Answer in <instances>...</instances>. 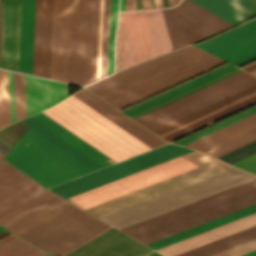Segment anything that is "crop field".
Here are the masks:
<instances>
[{
	"label": "crop field",
	"mask_w": 256,
	"mask_h": 256,
	"mask_svg": "<svg viewBox=\"0 0 256 256\" xmlns=\"http://www.w3.org/2000/svg\"><path fill=\"white\" fill-rule=\"evenodd\" d=\"M73 95L149 147L166 143L87 90L83 89ZM73 95L43 112L106 153L115 162L149 149L141 141ZM43 112L25 118L23 121L93 170L114 163L106 154L65 129ZM32 128L23 137L80 175L92 171Z\"/></svg>",
	"instance_id": "1"
},
{
	"label": "crop field",
	"mask_w": 256,
	"mask_h": 256,
	"mask_svg": "<svg viewBox=\"0 0 256 256\" xmlns=\"http://www.w3.org/2000/svg\"><path fill=\"white\" fill-rule=\"evenodd\" d=\"M182 156L200 164L201 166L179 156L67 199L86 209L88 207L94 206L96 204L102 203L117 196L199 166L197 168L191 169L189 171L183 172L168 179L86 209L92 214L100 217L151 198L152 196L155 197L157 195L163 194L175 188L181 187L193 181L232 167L206 154L196 151Z\"/></svg>",
	"instance_id": "2"
},
{
	"label": "crop field",
	"mask_w": 256,
	"mask_h": 256,
	"mask_svg": "<svg viewBox=\"0 0 256 256\" xmlns=\"http://www.w3.org/2000/svg\"><path fill=\"white\" fill-rule=\"evenodd\" d=\"M108 226L71 204L19 236L59 256ZM122 234L110 226L61 256H140L151 251Z\"/></svg>",
	"instance_id": "3"
},
{
	"label": "crop field",
	"mask_w": 256,
	"mask_h": 256,
	"mask_svg": "<svg viewBox=\"0 0 256 256\" xmlns=\"http://www.w3.org/2000/svg\"><path fill=\"white\" fill-rule=\"evenodd\" d=\"M256 203V179L121 229L147 244Z\"/></svg>",
	"instance_id": "4"
},
{
	"label": "crop field",
	"mask_w": 256,
	"mask_h": 256,
	"mask_svg": "<svg viewBox=\"0 0 256 256\" xmlns=\"http://www.w3.org/2000/svg\"><path fill=\"white\" fill-rule=\"evenodd\" d=\"M69 204L5 160L0 161V225L3 227L17 234Z\"/></svg>",
	"instance_id": "5"
},
{
	"label": "crop field",
	"mask_w": 256,
	"mask_h": 256,
	"mask_svg": "<svg viewBox=\"0 0 256 256\" xmlns=\"http://www.w3.org/2000/svg\"><path fill=\"white\" fill-rule=\"evenodd\" d=\"M253 178L256 175L232 167L100 218L121 229Z\"/></svg>",
	"instance_id": "6"
},
{
	"label": "crop field",
	"mask_w": 256,
	"mask_h": 256,
	"mask_svg": "<svg viewBox=\"0 0 256 256\" xmlns=\"http://www.w3.org/2000/svg\"><path fill=\"white\" fill-rule=\"evenodd\" d=\"M171 50L160 9L119 13L116 72Z\"/></svg>",
	"instance_id": "7"
},
{
	"label": "crop field",
	"mask_w": 256,
	"mask_h": 256,
	"mask_svg": "<svg viewBox=\"0 0 256 256\" xmlns=\"http://www.w3.org/2000/svg\"><path fill=\"white\" fill-rule=\"evenodd\" d=\"M100 0H72L68 82L96 80Z\"/></svg>",
	"instance_id": "8"
},
{
	"label": "crop field",
	"mask_w": 256,
	"mask_h": 256,
	"mask_svg": "<svg viewBox=\"0 0 256 256\" xmlns=\"http://www.w3.org/2000/svg\"><path fill=\"white\" fill-rule=\"evenodd\" d=\"M223 63L201 51L100 97L120 110Z\"/></svg>",
	"instance_id": "9"
},
{
	"label": "crop field",
	"mask_w": 256,
	"mask_h": 256,
	"mask_svg": "<svg viewBox=\"0 0 256 256\" xmlns=\"http://www.w3.org/2000/svg\"><path fill=\"white\" fill-rule=\"evenodd\" d=\"M255 83L256 77L241 71L134 120L151 131Z\"/></svg>",
	"instance_id": "10"
},
{
	"label": "crop field",
	"mask_w": 256,
	"mask_h": 256,
	"mask_svg": "<svg viewBox=\"0 0 256 256\" xmlns=\"http://www.w3.org/2000/svg\"><path fill=\"white\" fill-rule=\"evenodd\" d=\"M193 150L167 144L127 160L51 187L50 190L67 198L176 156Z\"/></svg>",
	"instance_id": "11"
},
{
	"label": "crop field",
	"mask_w": 256,
	"mask_h": 256,
	"mask_svg": "<svg viewBox=\"0 0 256 256\" xmlns=\"http://www.w3.org/2000/svg\"><path fill=\"white\" fill-rule=\"evenodd\" d=\"M161 10L173 50L233 26L189 0Z\"/></svg>",
	"instance_id": "12"
},
{
	"label": "crop field",
	"mask_w": 256,
	"mask_h": 256,
	"mask_svg": "<svg viewBox=\"0 0 256 256\" xmlns=\"http://www.w3.org/2000/svg\"><path fill=\"white\" fill-rule=\"evenodd\" d=\"M227 102H230L229 104ZM256 102V84L152 132L170 141Z\"/></svg>",
	"instance_id": "13"
},
{
	"label": "crop field",
	"mask_w": 256,
	"mask_h": 256,
	"mask_svg": "<svg viewBox=\"0 0 256 256\" xmlns=\"http://www.w3.org/2000/svg\"><path fill=\"white\" fill-rule=\"evenodd\" d=\"M4 159L46 187L79 176L23 137Z\"/></svg>",
	"instance_id": "14"
},
{
	"label": "crop field",
	"mask_w": 256,
	"mask_h": 256,
	"mask_svg": "<svg viewBox=\"0 0 256 256\" xmlns=\"http://www.w3.org/2000/svg\"><path fill=\"white\" fill-rule=\"evenodd\" d=\"M195 45L224 60L252 49L256 47V17ZM255 58L256 48L227 61L239 66Z\"/></svg>",
	"instance_id": "15"
},
{
	"label": "crop field",
	"mask_w": 256,
	"mask_h": 256,
	"mask_svg": "<svg viewBox=\"0 0 256 256\" xmlns=\"http://www.w3.org/2000/svg\"><path fill=\"white\" fill-rule=\"evenodd\" d=\"M70 1L53 0L50 77L67 82Z\"/></svg>",
	"instance_id": "16"
},
{
	"label": "crop field",
	"mask_w": 256,
	"mask_h": 256,
	"mask_svg": "<svg viewBox=\"0 0 256 256\" xmlns=\"http://www.w3.org/2000/svg\"><path fill=\"white\" fill-rule=\"evenodd\" d=\"M52 0H36L32 75L49 78Z\"/></svg>",
	"instance_id": "17"
},
{
	"label": "crop field",
	"mask_w": 256,
	"mask_h": 256,
	"mask_svg": "<svg viewBox=\"0 0 256 256\" xmlns=\"http://www.w3.org/2000/svg\"><path fill=\"white\" fill-rule=\"evenodd\" d=\"M184 48H186V47H184ZM184 48H181V49H184ZM181 49H179V50H181ZM179 50L167 53L165 55L159 56L157 58L151 59V60L146 61L144 63H141V64H138V65L133 66L131 68H128L126 70H123V71H120L118 73H115V74H113V75H111V76H109V77H107V78H105L103 80L97 81V82H95V83H93V84H91V85H89V86H87L85 88L91 90V89H93V88H95L97 86H100V85H102V84H104L106 82H109V81H111L113 79H116V78H118V77H120L122 75H125V74H127V73H129L131 71H134V70H136V69H138L140 67H143V66H145L147 64H150V63H152V62H154L156 60H159V59H161V58H163L165 56H168V55H170V54H172L174 52H177ZM199 51H201V50H199V49H197V48H195L193 46H190V47H188V48H186L184 50H181V51H179V52H177L175 54H172V55H170L168 57H165V58H163V59H161L159 61H156V62H154V63H152L150 65H147V66H145V67H143L141 69H138V70H136L134 72H131V73H129V74L125 75V76H122V77H120V78H118L116 80H113V81H111V82H109L107 84H104V85H102L100 87H97V88H95V89H93L91 91H93L98 96H100V95H102V94H104L106 92H109V91H111V90H113L115 88H118V87H120V86H122L124 84H127V83H129L131 81H134V80H136V79H138L140 77H143V76H145V75H147L149 73H152V72H154V71H156L158 69H161V68H163V67H165L167 65H170V64H172V63H174L176 61H179V60H181L183 58H186V57H188V56H190L192 54H195V53H197Z\"/></svg>",
	"instance_id": "18"
},
{
	"label": "crop field",
	"mask_w": 256,
	"mask_h": 256,
	"mask_svg": "<svg viewBox=\"0 0 256 256\" xmlns=\"http://www.w3.org/2000/svg\"><path fill=\"white\" fill-rule=\"evenodd\" d=\"M27 116L68 96L67 84L24 75Z\"/></svg>",
	"instance_id": "19"
},
{
	"label": "crop field",
	"mask_w": 256,
	"mask_h": 256,
	"mask_svg": "<svg viewBox=\"0 0 256 256\" xmlns=\"http://www.w3.org/2000/svg\"><path fill=\"white\" fill-rule=\"evenodd\" d=\"M20 0H4L1 68L17 72Z\"/></svg>",
	"instance_id": "20"
},
{
	"label": "crop field",
	"mask_w": 256,
	"mask_h": 256,
	"mask_svg": "<svg viewBox=\"0 0 256 256\" xmlns=\"http://www.w3.org/2000/svg\"><path fill=\"white\" fill-rule=\"evenodd\" d=\"M254 225H256V213L232 221L217 228L211 229L209 231L203 232L201 234L195 235L172 245L166 246L164 248L158 249L156 251L166 256H173L175 254L181 253L183 251L200 246L202 244L208 243L210 241L216 240L218 238L227 236L229 234L235 233L237 231Z\"/></svg>",
	"instance_id": "21"
},
{
	"label": "crop field",
	"mask_w": 256,
	"mask_h": 256,
	"mask_svg": "<svg viewBox=\"0 0 256 256\" xmlns=\"http://www.w3.org/2000/svg\"><path fill=\"white\" fill-rule=\"evenodd\" d=\"M235 25L256 14V0H192Z\"/></svg>",
	"instance_id": "22"
},
{
	"label": "crop field",
	"mask_w": 256,
	"mask_h": 256,
	"mask_svg": "<svg viewBox=\"0 0 256 256\" xmlns=\"http://www.w3.org/2000/svg\"><path fill=\"white\" fill-rule=\"evenodd\" d=\"M35 0H22L18 72L31 75Z\"/></svg>",
	"instance_id": "23"
},
{
	"label": "crop field",
	"mask_w": 256,
	"mask_h": 256,
	"mask_svg": "<svg viewBox=\"0 0 256 256\" xmlns=\"http://www.w3.org/2000/svg\"><path fill=\"white\" fill-rule=\"evenodd\" d=\"M254 212H256V204L235 211L233 213L227 214L225 216L219 217L217 219L208 221L206 223L200 224L198 226L192 227L190 229L184 230L182 232L176 233L174 235L168 236L166 238L160 239L158 241L152 242L147 245L152 249L156 250L158 248L164 247L166 245L172 244L174 242L180 241L182 239L188 238L195 234L201 233L203 231L209 230L211 228L217 227L219 225H222L224 223L230 222L232 220L238 219L240 217L246 216Z\"/></svg>",
	"instance_id": "24"
},
{
	"label": "crop field",
	"mask_w": 256,
	"mask_h": 256,
	"mask_svg": "<svg viewBox=\"0 0 256 256\" xmlns=\"http://www.w3.org/2000/svg\"><path fill=\"white\" fill-rule=\"evenodd\" d=\"M256 237V226L218 239L175 256H208Z\"/></svg>",
	"instance_id": "25"
},
{
	"label": "crop field",
	"mask_w": 256,
	"mask_h": 256,
	"mask_svg": "<svg viewBox=\"0 0 256 256\" xmlns=\"http://www.w3.org/2000/svg\"><path fill=\"white\" fill-rule=\"evenodd\" d=\"M232 67H234V66H232V65H230L228 63L224 64V65H222V66H220L218 68H215V69H213V70H211V71H209V72H207L205 74H202V75H200V76H198V77H196L194 79H191V80H189V81H187V82H185V83H183L181 85H178V86H176V87H174V88H172L170 90H167V91H165V92H163V93H161V94H159L157 96H154V97H152V98H150V99H148L146 101H143V102H141V103H139V104H137V105H135L133 107H130V108H128V109H126V110H124L122 112L124 114L128 115V114H130V113H132L134 111H137V110H139V109H141V108H143L145 106H148V105H150V104H152L154 102H157V101H159V100H161V99H163L165 97H168V96H170V95H172L174 93H177V92H179V91H181V90H183L185 88H188V87H190V86H192L194 84H197V83H199V82H201V81H203L205 79H208V78H210V77H212L214 75H217V74H219V73H221V72H223L225 70H228V69H230Z\"/></svg>",
	"instance_id": "26"
},
{
	"label": "crop field",
	"mask_w": 256,
	"mask_h": 256,
	"mask_svg": "<svg viewBox=\"0 0 256 256\" xmlns=\"http://www.w3.org/2000/svg\"><path fill=\"white\" fill-rule=\"evenodd\" d=\"M40 249L11 234L0 240V256H42Z\"/></svg>",
	"instance_id": "27"
},
{
	"label": "crop field",
	"mask_w": 256,
	"mask_h": 256,
	"mask_svg": "<svg viewBox=\"0 0 256 256\" xmlns=\"http://www.w3.org/2000/svg\"><path fill=\"white\" fill-rule=\"evenodd\" d=\"M239 71H241V70L236 68V67H234V68H232V69H230L228 71H225V72H223V73H221V74H219L217 76H214V77H212V78H210L208 80H205V81H203V82H201V83H199L197 85H194V86H192V87H190L188 89H185V90H183V91H181V92H179L177 94H174V95H172V96H170L168 98H165V99H163V100H161V101H159L157 103H154V104H152V105H150L148 107H145V108H143V109H141V110H139L137 112H134V113H132V114H130L128 116L130 118L134 119V118H136V117H138L140 115H143V114H145V113H147L149 111H152V110H154V109H156L158 107H161V106H163V105H165L167 103H170V102H172V101H174L176 99H179V98H181V97H183V96H185L187 94H190V93H192V92H194L196 90H199V89H201V88H203L205 86H208V85H210V84H212L214 82H217V81H219V80H221L223 78H226V77H228V76H230L232 74H235V73H237Z\"/></svg>",
	"instance_id": "28"
},
{
	"label": "crop field",
	"mask_w": 256,
	"mask_h": 256,
	"mask_svg": "<svg viewBox=\"0 0 256 256\" xmlns=\"http://www.w3.org/2000/svg\"><path fill=\"white\" fill-rule=\"evenodd\" d=\"M254 139H256V128L249 130L241 135H238L232 139H229L223 143H220L212 148H209L204 152H208L214 157H216L222 153H225L233 148H236Z\"/></svg>",
	"instance_id": "29"
},
{
	"label": "crop field",
	"mask_w": 256,
	"mask_h": 256,
	"mask_svg": "<svg viewBox=\"0 0 256 256\" xmlns=\"http://www.w3.org/2000/svg\"><path fill=\"white\" fill-rule=\"evenodd\" d=\"M253 113H256V107H254L252 109H249V110H247V111H245L243 113H240V114H238V115H236L234 117H231V118H229L227 120H224V121H222V122H220L218 124H215V125H213V126H211L209 128H206V129H204V130H202L200 132H197V133H195V134H193L191 136H188V137H186V138H184L182 140H179V141H177L175 143H179V144L185 145V144H187V143H189V142H191L193 140H196V139H198V138H200L202 136H205V135H207V134H209V133H211L213 131H216V130L222 128V127H225V126H227V125H229V124H231L233 122H236V121H238V120H240L242 118H245V117H247V116H249V115H251Z\"/></svg>",
	"instance_id": "30"
},
{
	"label": "crop field",
	"mask_w": 256,
	"mask_h": 256,
	"mask_svg": "<svg viewBox=\"0 0 256 256\" xmlns=\"http://www.w3.org/2000/svg\"><path fill=\"white\" fill-rule=\"evenodd\" d=\"M10 123L7 72L0 71V128Z\"/></svg>",
	"instance_id": "31"
},
{
	"label": "crop field",
	"mask_w": 256,
	"mask_h": 256,
	"mask_svg": "<svg viewBox=\"0 0 256 256\" xmlns=\"http://www.w3.org/2000/svg\"><path fill=\"white\" fill-rule=\"evenodd\" d=\"M110 0H104L100 78L106 76Z\"/></svg>",
	"instance_id": "32"
},
{
	"label": "crop field",
	"mask_w": 256,
	"mask_h": 256,
	"mask_svg": "<svg viewBox=\"0 0 256 256\" xmlns=\"http://www.w3.org/2000/svg\"><path fill=\"white\" fill-rule=\"evenodd\" d=\"M16 120L26 116L23 75L13 72Z\"/></svg>",
	"instance_id": "33"
},
{
	"label": "crop field",
	"mask_w": 256,
	"mask_h": 256,
	"mask_svg": "<svg viewBox=\"0 0 256 256\" xmlns=\"http://www.w3.org/2000/svg\"><path fill=\"white\" fill-rule=\"evenodd\" d=\"M118 0H111L107 75L113 72V44L116 26Z\"/></svg>",
	"instance_id": "34"
},
{
	"label": "crop field",
	"mask_w": 256,
	"mask_h": 256,
	"mask_svg": "<svg viewBox=\"0 0 256 256\" xmlns=\"http://www.w3.org/2000/svg\"><path fill=\"white\" fill-rule=\"evenodd\" d=\"M253 120H256V114H254L252 116H249V117H247V118H245V119H243L241 121H238V122H236V123H234V124H232L230 126H227V127L223 128V129H221L219 131H216V132H214V133H212V134H210L208 136H205V137H203V138H201V139H199L197 141H194V142H192V143H190V144H188L186 146L194 148V147H196V146H198V145H200L202 143H205V142H207V141H209V140H211V139H213L215 137H218V136H220V135H222V134H224L226 132H229V131H231V130H233L235 128H238V127H240V126H242L244 124H247V123H249V122H251Z\"/></svg>",
	"instance_id": "35"
},
{
	"label": "crop field",
	"mask_w": 256,
	"mask_h": 256,
	"mask_svg": "<svg viewBox=\"0 0 256 256\" xmlns=\"http://www.w3.org/2000/svg\"><path fill=\"white\" fill-rule=\"evenodd\" d=\"M255 141H256V140L251 141V142H249V143H247V144H245V145H242V146H240V147H238V148H236V149H233V150H231V151H229V152H227V153H225V154H228V153H230V152H232V151H235V150H237V149H239V148H241V147H244V146H246V145H248V144H250V143H253V142H255ZM253 152H256V142L253 143V144H250V145H248V146H246V147H244V148H241V149H239V150H237V151H235V152H232V153H230V154H228V155L222 154V155H220V156H218V157H216V158H219V157L225 155V156H223V157H221V158H219V159H220V160H223V161H226V162H228V163H231V162H233V161H235V160H238V159H240V158H242V157H245V156H247V155H249V154H251V153H253Z\"/></svg>",
	"instance_id": "36"
},
{
	"label": "crop field",
	"mask_w": 256,
	"mask_h": 256,
	"mask_svg": "<svg viewBox=\"0 0 256 256\" xmlns=\"http://www.w3.org/2000/svg\"><path fill=\"white\" fill-rule=\"evenodd\" d=\"M256 249V238L210 256H239Z\"/></svg>",
	"instance_id": "37"
},
{
	"label": "crop field",
	"mask_w": 256,
	"mask_h": 256,
	"mask_svg": "<svg viewBox=\"0 0 256 256\" xmlns=\"http://www.w3.org/2000/svg\"><path fill=\"white\" fill-rule=\"evenodd\" d=\"M255 126H256V121L251 122V123H249V124H247V125H245V126H243V127H240V128H238V129H236V130H234V131H231V132H229V133H232V134H234V135H237V134H239V133H241V132H243V131H246V130H248V129H250V128H253V127H255ZM229 133H227V134H225V135H223V136H220V137H218V138H216V139H214V140H211V141H209V142H207V143H205V144H203V145H200V146H198V147H196V148H194V149L203 151V150H205V149H207V148H209V147H211V146H213V145H215V144H217V143H220V142H222V141H224V140H226V139H228V138L234 136V135H231V134H229Z\"/></svg>",
	"instance_id": "38"
},
{
	"label": "crop field",
	"mask_w": 256,
	"mask_h": 256,
	"mask_svg": "<svg viewBox=\"0 0 256 256\" xmlns=\"http://www.w3.org/2000/svg\"><path fill=\"white\" fill-rule=\"evenodd\" d=\"M241 169L256 173V153L231 163ZM230 164V165H231Z\"/></svg>",
	"instance_id": "39"
},
{
	"label": "crop field",
	"mask_w": 256,
	"mask_h": 256,
	"mask_svg": "<svg viewBox=\"0 0 256 256\" xmlns=\"http://www.w3.org/2000/svg\"><path fill=\"white\" fill-rule=\"evenodd\" d=\"M8 79H9L10 115H11V122H13L15 121V112H14L13 80H12V72L10 71H8Z\"/></svg>",
	"instance_id": "40"
},
{
	"label": "crop field",
	"mask_w": 256,
	"mask_h": 256,
	"mask_svg": "<svg viewBox=\"0 0 256 256\" xmlns=\"http://www.w3.org/2000/svg\"><path fill=\"white\" fill-rule=\"evenodd\" d=\"M102 5H103V0H101V4H100V26H99V48H98V70H97V80L99 79V69H100V47H101Z\"/></svg>",
	"instance_id": "41"
},
{
	"label": "crop field",
	"mask_w": 256,
	"mask_h": 256,
	"mask_svg": "<svg viewBox=\"0 0 256 256\" xmlns=\"http://www.w3.org/2000/svg\"><path fill=\"white\" fill-rule=\"evenodd\" d=\"M241 68L246 70V71H248V72H250V71L256 69V61H254L252 63H249V64H247V65H245V66H243Z\"/></svg>",
	"instance_id": "42"
},
{
	"label": "crop field",
	"mask_w": 256,
	"mask_h": 256,
	"mask_svg": "<svg viewBox=\"0 0 256 256\" xmlns=\"http://www.w3.org/2000/svg\"><path fill=\"white\" fill-rule=\"evenodd\" d=\"M9 149H10V148H8L6 145H4L2 142H0V152H1L2 154L5 155Z\"/></svg>",
	"instance_id": "43"
},
{
	"label": "crop field",
	"mask_w": 256,
	"mask_h": 256,
	"mask_svg": "<svg viewBox=\"0 0 256 256\" xmlns=\"http://www.w3.org/2000/svg\"><path fill=\"white\" fill-rule=\"evenodd\" d=\"M142 6H143V9L152 8L150 0H142Z\"/></svg>",
	"instance_id": "44"
},
{
	"label": "crop field",
	"mask_w": 256,
	"mask_h": 256,
	"mask_svg": "<svg viewBox=\"0 0 256 256\" xmlns=\"http://www.w3.org/2000/svg\"><path fill=\"white\" fill-rule=\"evenodd\" d=\"M136 9L135 0H130V10Z\"/></svg>",
	"instance_id": "45"
},
{
	"label": "crop field",
	"mask_w": 256,
	"mask_h": 256,
	"mask_svg": "<svg viewBox=\"0 0 256 256\" xmlns=\"http://www.w3.org/2000/svg\"><path fill=\"white\" fill-rule=\"evenodd\" d=\"M123 10H125V0H121V5H120L119 11H123Z\"/></svg>",
	"instance_id": "46"
},
{
	"label": "crop field",
	"mask_w": 256,
	"mask_h": 256,
	"mask_svg": "<svg viewBox=\"0 0 256 256\" xmlns=\"http://www.w3.org/2000/svg\"><path fill=\"white\" fill-rule=\"evenodd\" d=\"M241 256H256V250L252 251V252H249L247 254L241 255Z\"/></svg>",
	"instance_id": "47"
},
{
	"label": "crop field",
	"mask_w": 256,
	"mask_h": 256,
	"mask_svg": "<svg viewBox=\"0 0 256 256\" xmlns=\"http://www.w3.org/2000/svg\"><path fill=\"white\" fill-rule=\"evenodd\" d=\"M170 7L175 5V0H169Z\"/></svg>",
	"instance_id": "48"
},
{
	"label": "crop field",
	"mask_w": 256,
	"mask_h": 256,
	"mask_svg": "<svg viewBox=\"0 0 256 256\" xmlns=\"http://www.w3.org/2000/svg\"><path fill=\"white\" fill-rule=\"evenodd\" d=\"M157 5H158V8L162 7V1L161 0H157Z\"/></svg>",
	"instance_id": "49"
},
{
	"label": "crop field",
	"mask_w": 256,
	"mask_h": 256,
	"mask_svg": "<svg viewBox=\"0 0 256 256\" xmlns=\"http://www.w3.org/2000/svg\"><path fill=\"white\" fill-rule=\"evenodd\" d=\"M126 10H129V0L126 1Z\"/></svg>",
	"instance_id": "50"
},
{
	"label": "crop field",
	"mask_w": 256,
	"mask_h": 256,
	"mask_svg": "<svg viewBox=\"0 0 256 256\" xmlns=\"http://www.w3.org/2000/svg\"><path fill=\"white\" fill-rule=\"evenodd\" d=\"M150 255H152V256H161V255H159V254H157V253H155V252L150 253Z\"/></svg>",
	"instance_id": "51"
},
{
	"label": "crop field",
	"mask_w": 256,
	"mask_h": 256,
	"mask_svg": "<svg viewBox=\"0 0 256 256\" xmlns=\"http://www.w3.org/2000/svg\"><path fill=\"white\" fill-rule=\"evenodd\" d=\"M250 73H252V74L256 75V70H254V71H252V72H250Z\"/></svg>",
	"instance_id": "52"
},
{
	"label": "crop field",
	"mask_w": 256,
	"mask_h": 256,
	"mask_svg": "<svg viewBox=\"0 0 256 256\" xmlns=\"http://www.w3.org/2000/svg\"><path fill=\"white\" fill-rule=\"evenodd\" d=\"M4 155H2L1 153H0V159L3 157Z\"/></svg>",
	"instance_id": "53"
},
{
	"label": "crop field",
	"mask_w": 256,
	"mask_h": 256,
	"mask_svg": "<svg viewBox=\"0 0 256 256\" xmlns=\"http://www.w3.org/2000/svg\"><path fill=\"white\" fill-rule=\"evenodd\" d=\"M179 3V0H176V4Z\"/></svg>",
	"instance_id": "54"
},
{
	"label": "crop field",
	"mask_w": 256,
	"mask_h": 256,
	"mask_svg": "<svg viewBox=\"0 0 256 256\" xmlns=\"http://www.w3.org/2000/svg\"><path fill=\"white\" fill-rule=\"evenodd\" d=\"M44 256H50V255L46 254V255H44Z\"/></svg>",
	"instance_id": "55"
},
{
	"label": "crop field",
	"mask_w": 256,
	"mask_h": 256,
	"mask_svg": "<svg viewBox=\"0 0 256 256\" xmlns=\"http://www.w3.org/2000/svg\"><path fill=\"white\" fill-rule=\"evenodd\" d=\"M3 230L2 228H0V231Z\"/></svg>",
	"instance_id": "56"
},
{
	"label": "crop field",
	"mask_w": 256,
	"mask_h": 256,
	"mask_svg": "<svg viewBox=\"0 0 256 256\" xmlns=\"http://www.w3.org/2000/svg\"><path fill=\"white\" fill-rule=\"evenodd\" d=\"M145 256H147V255H145Z\"/></svg>",
	"instance_id": "57"
}]
</instances>
